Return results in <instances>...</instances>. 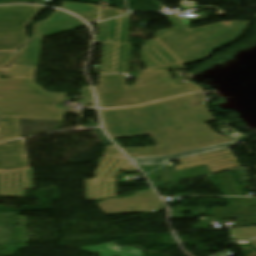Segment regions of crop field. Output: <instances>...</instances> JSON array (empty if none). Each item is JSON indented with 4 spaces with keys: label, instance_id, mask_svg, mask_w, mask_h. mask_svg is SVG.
<instances>
[{
    "label": "crop field",
    "instance_id": "crop-field-9",
    "mask_svg": "<svg viewBox=\"0 0 256 256\" xmlns=\"http://www.w3.org/2000/svg\"><path fill=\"white\" fill-rule=\"evenodd\" d=\"M250 241H251V244L254 247V249H256V239H252Z\"/></svg>",
    "mask_w": 256,
    "mask_h": 256
},
{
    "label": "crop field",
    "instance_id": "crop-field-8",
    "mask_svg": "<svg viewBox=\"0 0 256 256\" xmlns=\"http://www.w3.org/2000/svg\"><path fill=\"white\" fill-rule=\"evenodd\" d=\"M232 240H245L256 237V228L229 229Z\"/></svg>",
    "mask_w": 256,
    "mask_h": 256
},
{
    "label": "crop field",
    "instance_id": "crop-field-6",
    "mask_svg": "<svg viewBox=\"0 0 256 256\" xmlns=\"http://www.w3.org/2000/svg\"><path fill=\"white\" fill-rule=\"evenodd\" d=\"M81 250L90 251V252H100V256H113V255L143 256L142 250H139L137 248H129V247L117 248L113 246V244H105V245L96 246V247L81 248Z\"/></svg>",
    "mask_w": 256,
    "mask_h": 256
},
{
    "label": "crop field",
    "instance_id": "crop-field-2",
    "mask_svg": "<svg viewBox=\"0 0 256 256\" xmlns=\"http://www.w3.org/2000/svg\"><path fill=\"white\" fill-rule=\"evenodd\" d=\"M27 189H34L32 169L0 172V197H25Z\"/></svg>",
    "mask_w": 256,
    "mask_h": 256
},
{
    "label": "crop field",
    "instance_id": "crop-field-7",
    "mask_svg": "<svg viewBox=\"0 0 256 256\" xmlns=\"http://www.w3.org/2000/svg\"><path fill=\"white\" fill-rule=\"evenodd\" d=\"M5 71L3 74L5 78H10V77H35L36 75V69H28V68H16V67H10L8 69H0V76L2 73Z\"/></svg>",
    "mask_w": 256,
    "mask_h": 256
},
{
    "label": "crop field",
    "instance_id": "crop-field-1",
    "mask_svg": "<svg viewBox=\"0 0 256 256\" xmlns=\"http://www.w3.org/2000/svg\"><path fill=\"white\" fill-rule=\"evenodd\" d=\"M106 215L126 213H149L163 209V203L153 193L152 189L136 192L131 197L123 199L109 198L98 203Z\"/></svg>",
    "mask_w": 256,
    "mask_h": 256
},
{
    "label": "crop field",
    "instance_id": "crop-field-4",
    "mask_svg": "<svg viewBox=\"0 0 256 256\" xmlns=\"http://www.w3.org/2000/svg\"><path fill=\"white\" fill-rule=\"evenodd\" d=\"M238 143L237 141L234 142H229V143H223V144H217V145H212L208 147H203L199 149H194L190 151H185L181 153H176L168 156H162V157H142V158H132L135 163L138 166H151V165H164L167 163L168 160L173 159V158H178V157H183L187 155H192V154H197L205 151H210L218 148H223L227 146H233Z\"/></svg>",
    "mask_w": 256,
    "mask_h": 256
},
{
    "label": "crop field",
    "instance_id": "crop-field-3",
    "mask_svg": "<svg viewBox=\"0 0 256 256\" xmlns=\"http://www.w3.org/2000/svg\"><path fill=\"white\" fill-rule=\"evenodd\" d=\"M18 149V151H16ZM24 139L21 143L0 145V169H15L29 167Z\"/></svg>",
    "mask_w": 256,
    "mask_h": 256
},
{
    "label": "crop field",
    "instance_id": "crop-field-5",
    "mask_svg": "<svg viewBox=\"0 0 256 256\" xmlns=\"http://www.w3.org/2000/svg\"><path fill=\"white\" fill-rule=\"evenodd\" d=\"M0 117V142L9 141L21 137L19 118L61 120L55 118L26 117L12 115H0ZM3 119H5V122H2Z\"/></svg>",
    "mask_w": 256,
    "mask_h": 256
}]
</instances>
